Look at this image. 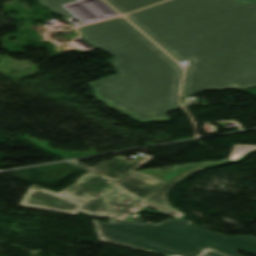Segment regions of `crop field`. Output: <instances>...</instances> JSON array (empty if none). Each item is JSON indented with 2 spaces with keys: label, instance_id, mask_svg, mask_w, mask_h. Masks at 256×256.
Masks as SVG:
<instances>
[{
  "label": "crop field",
  "instance_id": "crop-field-2",
  "mask_svg": "<svg viewBox=\"0 0 256 256\" xmlns=\"http://www.w3.org/2000/svg\"><path fill=\"white\" fill-rule=\"evenodd\" d=\"M154 44V43H153ZM148 38L107 51L118 75L88 82L92 97L139 122H167L177 103L182 69Z\"/></svg>",
  "mask_w": 256,
  "mask_h": 256
},
{
  "label": "crop field",
  "instance_id": "crop-field-11",
  "mask_svg": "<svg viewBox=\"0 0 256 256\" xmlns=\"http://www.w3.org/2000/svg\"><path fill=\"white\" fill-rule=\"evenodd\" d=\"M254 149H256V146L234 145L230 158L228 160L222 162V163L234 162L239 157H241L243 154H245L246 152L254 150ZM205 164H209V163L196 164V165H185V166L177 167L173 171L164 172V173H156V172L151 171V170H144V171H140V172H142L144 174H147V175H150V176H153L155 178L167 181V180H169L170 178H172L173 176H175L176 174H178L179 172H181L183 170L194 168V167L205 165Z\"/></svg>",
  "mask_w": 256,
  "mask_h": 256
},
{
  "label": "crop field",
  "instance_id": "crop-field-13",
  "mask_svg": "<svg viewBox=\"0 0 256 256\" xmlns=\"http://www.w3.org/2000/svg\"><path fill=\"white\" fill-rule=\"evenodd\" d=\"M115 9L122 14L132 12L163 0H107Z\"/></svg>",
  "mask_w": 256,
  "mask_h": 256
},
{
  "label": "crop field",
  "instance_id": "crop-field-6",
  "mask_svg": "<svg viewBox=\"0 0 256 256\" xmlns=\"http://www.w3.org/2000/svg\"><path fill=\"white\" fill-rule=\"evenodd\" d=\"M81 39L102 51H107L145 38L123 18H115L78 29Z\"/></svg>",
  "mask_w": 256,
  "mask_h": 256
},
{
  "label": "crop field",
  "instance_id": "crop-field-16",
  "mask_svg": "<svg viewBox=\"0 0 256 256\" xmlns=\"http://www.w3.org/2000/svg\"><path fill=\"white\" fill-rule=\"evenodd\" d=\"M203 256H224V255L209 251V252L205 253Z\"/></svg>",
  "mask_w": 256,
  "mask_h": 256
},
{
  "label": "crop field",
  "instance_id": "crop-field-8",
  "mask_svg": "<svg viewBox=\"0 0 256 256\" xmlns=\"http://www.w3.org/2000/svg\"><path fill=\"white\" fill-rule=\"evenodd\" d=\"M164 182L135 171L112 187L142 198Z\"/></svg>",
  "mask_w": 256,
  "mask_h": 256
},
{
  "label": "crop field",
  "instance_id": "crop-field-1",
  "mask_svg": "<svg viewBox=\"0 0 256 256\" xmlns=\"http://www.w3.org/2000/svg\"><path fill=\"white\" fill-rule=\"evenodd\" d=\"M151 38L178 61L191 60L181 96L256 87V2Z\"/></svg>",
  "mask_w": 256,
  "mask_h": 256
},
{
  "label": "crop field",
  "instance_id": "crop-field-14",
  "mask_svg": "<svg viewBox=\"0 0 256 256\" xmlns=\"http://www.w3.org/2000/svg\"><path fill=\"white\" fill-rule=\"evenodd\" d=\"M75 0H40L38 1L41 5L47 7L53 13H59L63 16V18L71 17L66 10L62 8V5L67 2H71Z\"/></svg>",
  "mask_w": 256,
  "mask_h": 256
},
{
  "label": "crop field",
  "instance_id": "crop-field-12",
  "mask_svg": "<svg viewBox=\"0 0 256 256\" xmlns=\"http://www.w3.org/2000/svg\"><path fill=\"white\" fill-rule=\"evenodd\" d=\"M145 205L148 206V207H151L153 209H158L159 211L154 212V211H151V210H147V209L144 208ZM142 212H147V213H150V214H161V215L171 216V217H174V218H177V219L184 220V215L173 212V211H171L167 208L158 206L156 204H153L149 201H145L143 199L141 201H139L138 203H136L135 205H133L132 207H130L127 210L120 213L115 218L132 221V219H131L132 214H139V213H142Z\"/></svg>",
  "mask_w": 256,
  "mask_h": 256
},
{
  "label": "crop field",
  "instance_id": "crop-field-7",
  "mask_svg": "<svg viewBox=\"0 0 256 256\" xmlns=\"http://www.w3.org/2000/svg\"><path fill=\"white\" fill-rule=\"evenodd\" d=\"M153 158L154 157H151V156H141L133 160L132 162H129L117 156L113 160L104 161L94 166L93 168L78 161H72L71 163H76L97 175H100L102 177H105L109 180L116 182L117 180L121 179L123 176H125L129 172L137 169L138 167H140L141 165L150 161Z\"/></svg>",
  "mask_w": 256,
  "mask_h": 256
},
{
  "label": "crop field",
  "instance_id": "crop-field-15",
  "mask_svg": "<svg viewBox=\"0 0 256 256\" xmlns=\"http://www.w3.org/2000/svg\"><path fill=\"white\" fill-rule=\"evenodd\" d=\"M83 180H86V182H83V183L95 184V185H100V186H109V185L113 184V183H111L105 179H102L90 172H88L84 176L80 177L76 181L82 182Z\"/></svg>",
  "mask_w": 256,
  "mask_h": 256
},
{
  "label": "crop field",
  "instance_id": "crop-field-17",
  "mask_svg": "<svg viewBox=\"0 0 256 256\" xmlns=\"http://www.w3.org/2000/svg\"><path fill=\"white\" fill-rule=\"evenodd\" d=\"M236 1H239V2H243V3L249 4V3L255 2L256 0H236Z\"/></svg>",
  "mask_w": 256,
  "mask_h": 256
},
{
  "label": "crop field",
  "instance_id": "crop-field-4",
  "mask_svg": "<svg viewBox=\"0 0 256 256\" xmlns=\"http://www.w3.org/2000/svg\"><path fill=\"white\" fill-rule=\"evenodd\" d=\"M243 5L232 0H170L127 19L149 37Z\"/></svg>",
  "mask_w": 256,
  "mask_h": 256
},
{
  "label": "crop field",
  "instance_id": "crop-field-3",
  "mask_svg": "<svg viewBox=\"0 0 256 256\" xmlns=\"http://www.w3.org/2000/svg\"><path fill=\"white\" fill-rule=\"evenodd\" d=\"M132 219L134 222L93 221L101 241L167 256H202L208 250L226 256H240L238 252L256 255V237L225 236L192 226L191 221L167 219L147 224L140 215H132Z\"/></svg>",
  "mask_w": 256,
  "mask_h": 256
},
{
  "label": "crop field",
  "instance_id": "crop-field-9",
  "mask_svg": "<svg viewBox=\"0 0 256 256\" xmlns=\"http://www.w3.org/2000/svg\"><path fill=\"white\" fill-rule=\"evenodd\" d=\"M140 198L110 188L103 196L102 200L110 218L114 217Z\"/></svg>",
  "mask_w": 256,
  "mask_h": 256
},
{
  "label": "crop field",
  "instance_id": "crop-field-10",
  "mask_svg": "<svg viewBox=\"0 0 256 256\" xmlns=\"http://www.w3.org/2000/svg\"><path fill=\"white\" fill-rule=\"evenodd\" d=\"M250 153H252V152H250ZM250 153L246 154L244 157H242L241 159H239L235 163H238V162L242 161ZM220 165H225V164H210V165L202 166V167H199V168H196V169H192V170L187 171V172H183L180 175H178L177 177H175L174 179H172L170 182H168L167 184H165L164 186L159 188L157 191H155L154 193H152L149 196H147L146 198H144V199L149 200V201L154 202V203H156L158 205H161V206H164V207H167V208L171 209L170 205H169V202H168V200L166 198V195H165V193L169 189H171L173 186H175V184L179 183L181 180H183L185 177H187L191 173H194V172H197V171H200V170H203V169L217 167V166H220ZM171 210H173V209H171ZM176 212H178V211H176Z\"/></svg>",
  "mask_w": 256,
  "mask_h": 256
},
{
  "label": "crop field",
  "instance_id": "crop-field-5",
  "mask_svg": "<svg viewBox=\"0 0 256 256\" xmlns=\"http://www.w3.org/2000/svg\"><path fill=\"white\" fill-rule=\"evenodd\" d=\"M32 187L35 188L34 191L29 190L20 203L21 206L75 215L82 211L98 217H108L101 198L109 187L76 182L58 194L34 185Z\"/></svg>",
  "mask_w": 256,
  "mask_h": 256
}]
</instances>
